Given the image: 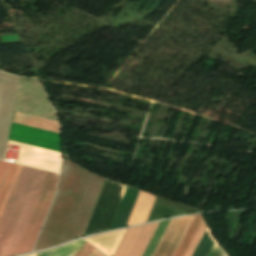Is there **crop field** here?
Returning <instances> with one entry per match:
<instances>
[{"instance_id":"8a807250","label":"crop field","mask_w":256,"mask_h":256,"mask_svg":"<svg viewBox=\"0 0 256 256\" xmlns=\"http://www.w3.org/2000/svg\"><path fill=\"white\" fill-rule=\"evenodd\" d=\"M104 180L63 160L57 195L34 251L83 235Z\"/></svg>"},{"instance_id":"00972430","label":"crop field","mask_w":256,"mask_h":256,"mask_svg":"<svg viewBox=\"0 0 256 256\" xmlns=\"http://www.w3.org/2000/svg\"><path fill=\"white\" fill-rule=\"evenodd\" d=\"M53 250H49V251H45V252H41L38 254V256H51V254L53 253Z\"/></svg>"},{"instance_id":"34b2d1b8","label":"crop field","mask_w":256,"mask_h":256,"mask_svg":"<svg viewBox=\"0 0 256 256\" xmlns=\"http://www.w3.org/2000/svg\"><path fill=\"white\" fill-rule=\"evenodd\" d=\"M126 187V185L105 180L83 236L110 228Z\"/></svg>"},{"instance_id":"214f88e0","label":"crop field","mask_w":256,"mask_h":256,"mask_svg":"<svg viewBox=\"0 0 256 256\" xmlns=\"http://www.w3.org/2000/svg\"><path fill=\"white\" fill-rule=\"evenodd\" d=\"M85 240H79L66 246L55 249L52 256H72Z\"/></svg>"},{"instance_id":"dd49c442","label":"crop field","mask_w":256,"mask_h":256,"mask_svg":"<svg viewBox=\"0 0 256 256\" xmlns=\"http://www.w3.org/2000/svg\"><path fill=\"white\" fill-rule=\"evenodd\" d=\"M158 224L159 222L127 229L114 256H142Z\"/></svg>"},{"instance_id":"28ad6ade","label":"crop field","mask_w":256,"mask_h":256,"mask_svg":"<svg viewBox=\"0 0 256 256\" xmlns=\"http://www.w3.org/2000/svg\"><path fill=\"white\" fill-rule=\"evenodd\" d=\"M207 225L202 214L195 215L187 233L185 234L174 256H192Z\"/></svg>"},{"instance_id":"d1516ede","label":"crop field","mask_w":256,"mask_h":256,"mask_svg":"<svg viewBox=\"0 0 256 256\" xmlns=\"http://www.w3.org/2000/svg\"><path fill=\"white\" fill-rule=\"evenodd\" d=\"M155 197L141 191L126 226L145 222Z\"/></svg>"},{"instance_id":"412701ff","label":"crop field","mask_w":256,"mask_h":256,"mask_svg":"<svg viewBox=\"0 0 256 256\" xmlns=\"http://www.w3.org/2000/svg\"><path fill=\"white\" fill-rule=\"evenodd\" d=\"M14 111L58 122L40 80L20 77Z\"/></svg>"},{"instance_id":"3316defc","label":"crop field","mask_w":256,"mask_h":256,"mask_svg":"<svg viewBox=\"0 0 256 256\" xmlns=\"http://www.w3.org/2000/svg\"><path fill=\"white\" fill-rule=\"evenodd\" d=\"M47 172L39 170L37 173V176L34 180V183L32 185V188L30 190V193L27 197V200L25 202V205L22 209V212L20 214V217L18 219V222L15 226V229L13 231V234L7 244V246L4 248V250L1 252L0 256H10L14 247L16 246L22 231L24 229V226L27 222V219L29 217V214L31 212V209L33 207V204L36 200V197L38 195V192L40 190V187L42 185V182L45 178Z\"/></svg>"},{"instance_id":"cbeb9de0","label":"crop field","mask_w":256,"mask_h":256,"mask_svg":"<svg viewBox=\"0 0 256 256\" xmlns=\"http://www.w3.org/2000/svg\"><path fill=\"white\" fill-rule=\"evenodd\" d=\"M207 229H206L199 245L197 246L193 256H208L215 243L216 244L209 256H228L225 253V251L220 247V245L216 242V240L212 236L210 230L208 229L209 233L211 234L212 238L215 241V243H214V241L211 238L210 234L208 233Z\"/></svg>"},{"instance_id":"ac0d7876","label":"crop field","mask_w":256,"mask_h":256,"mask_svg":"<svg viewBox=\"0 0 256 256\" xmlns=\"http://www.w3.org/2000/svg\"><path fill=\"white\" fill-rule=\"evenodd\" d=\"M58 175L47 173L23 234L11 256L32 250L55 195Z\"/></svg>"},{"instance_id":"5142ce71","label":"crop field","mask_w":256,"mask_h":256,"mask_svg":"<svg viewBox=\"0 0 256 256\" xmlns=\"http://www.w3.org/2000/svg\"><path fill=\"white\" fill-rule=\"evenodd\" d=\"M12 122L59 133V124L56 123L57 121L52 122L14 112Z\"/></svg>"},{"instance_id":"f4fd0767","label":"crop field","mask_w":256,"mask_h":256,"mask_svg":"<svg viewBox=\"0 0 256 256\" xmlns=\"http://www.w3.org/2000/svg\"><path fill=\"white\" fill-rule=\"evenodd\" d=\"M38 170L24 167L2 223L0 225V252L5 247L21 212L29 189Z\"/></svg>"},{"instance_id":"bc2a9ffb","label":"crop field","mask_w":256,"mask_h":256,"mask_svg":"<svg viewBox=\"0 0 256 256\" xmlns=\"http://www.w3.org/2000/svg\"><path fill=\"white\" fill-rule=\"evenodd\" d=\"M22 166H17V168H16V171H15V173H14V176H13V178H12V180H11V183H10V185H9V188H8V190H7V193H6V195H5V198H4V200H3V203H2V205H1V208H0V223H1V220H2V218H3V215H4V213H5V210H6V208H7V205H8V203H9V200H10V198H11V195H12V193H13V190H14V188H15V185H16V183H17V180H18V178H19V175H20V173H21V170H22Z\"/></svg>"},{"instance_id":"22f410ed","label":"crop field","mask_w":256,"mask_h":256,"mask_svg":"<svg viewBox=\"0 0 256 256\" xmlns=\"http://www.w3.org/2000/svg\"><path fill=\"white\" fill-rule=\"evenodd\" d=\"M127 230V229H126ZM125 230L87 238L108 256H112ZM126 232V231H125Z\"/></svg>"},{"instance_id":"92a150f3","label":"crop field","mask_w":256,"mask_h":256,"mask_svg":"<svg viewBox=\"0 0 256 256\" xmlns=\"http://www.w3.org/2000/svg\"><path fill=\"white\" fill-rule=\"evenodd\" d=\"M95 248L86 241L73 256H89Z\"/></svg>"},{"instance_id":"4a817a6b","label":"crop field","mask_w":256,"mask_h":256,"mask_svg":"<svg viewBox=\"0 0 256 256\" xmlns=\"http://www.w3.org/2000/svg\"><path fill=\"white\" fill-rule=\"evenodd\" d=\"M169 222H170V220L160 222V224H159L155 234L153 235L148 247L146 248L143 256H152V254H153L154 250L156 249L162 235L164 234Z\"/></svg>"},{"instance_id":"e52e79f7","label":"crop field","mask_w":256,"mask_h":256,"mask_svg":"<svg viewBox=\"0 0 256 256\" xmlns=\"http://www.w3.org/2000/svg\"><path fill=\"white\" fill-rule=\"evenodd\" d=\"M8 146L20 147L18 163L58 173L61 161L60 153L20 144L10 140Z\"/></svg>"},{"instance_id":"dafd665d","label":"crop field","mask_w":256,"mask_h":256,"mask_svg":"<svg viewBox=\"0 0 256 256\" xmlns=\"http://www.w3.org/2000/svg\"><path fill=\"white\" fill-rule=\"evenodd\" d=\"M156 200H159V201H162V202H165V203L171 204V205H175V206H178V207H181V208H184V209H187V210L193 211V212H196V211H197V209H195V208H192V207H189V206H186V205L180 204V203H176V202H173V201H170V200H167V199H164V198L158 197V196L156 197Z\"/></svg>"},{"instance_id":"5a996713","label":"crop field","mask_w":256,"mask_h":256,"mask_svg":"<svg viewBox=\"0 0 256 256\" xmlns=\"http://www.w3.org/2000/svg\"><path fill=\"white\" fill-rule=\"evenodd\" d=\"M193 217L194 215L171 220L153 256H173Z\"/></svg>"},{"instance_id":"733c2abd","label":"crop field","mask_w":256,"mask_h":256,"mask_svg":"<svg viewBox=\"0 0 256 256\" xmlns=\"http://www.w3.org/2000/svg\"><path fill=\"white\" fill-rule=\"evenodd\" d=\"M17 165L0 161V205Z\"/></svg>"},{"instance_id":"d8731c3e","label":"crop field","mask_w":256,"mask_h":256,"mask_svg":"<svg viewBox=\"0 0 256 256\" xmlns=\"http://www.w3.org/2000/svg\"><path fill=\"white\" fill-rule=\"evenodd\" d=\"M9 139L60 152L57 133L13 123Z\"/></svg>"},{"instance_id":"4177f3b9","label":"crop field","mask_w":256,"mask_h":256,"mask_svg":"<svg viewBox=\"0 0 256 256\" xmlns=\"http://www.w3.org/2000/svg\"><path fill=\"white\" fill-rule=\"evenodd\" d=\"M38 254V253H37ZM37 254L29 255V256H37Z\"/></svg>"},{"instance_id":"a9b5d70f","label":"crop field","mask_w":256,"mask_h":256,"mask_svg":"<svg viewBox=\"0 0 256 256\" xmlns=\"http://www.w3.org/2000/svg\"><path fill=\"white\" fill-rule=\"evenodd\" d=\"M90 256H105L102 253H100L98 250H94L93 253Z\"/></svg>"},{"instance_id":"d9b57169","label":"crop field","mask_w":256,"mask_h":256,"mask_svg":"<svg viewBox=\"0 0 256 256\" xmlns=\"http://www.w3.org/2000/svg\"><path fill=\"white\" fill-rule=\"evenodd\" d=\"M183 213H190V211H187L178 207H174V206L155 200L147 221L157 220V219L178 215V214H183Z\"/></svg>"}]
</instances>
